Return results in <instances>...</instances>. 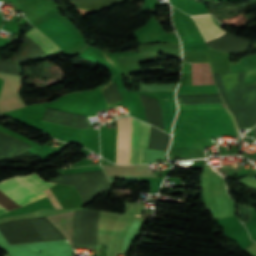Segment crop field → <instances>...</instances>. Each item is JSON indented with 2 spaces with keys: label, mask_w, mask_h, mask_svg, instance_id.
Masks as SVG:
<instances>
[{
  "label": "crop field",
  "mask_w": 256,
  "mask_h": 256,
  "mask_svg": "<svg viewBox=\"0 0 256 256\" xmlns=\"http://www.w3.org/2000/svg\"><path fill=\"white\" fill-rule=\"evenodd\" d=\"M48 218L55 227L64 234L65 238H67L69 243L72 245L69 212L48 216Z\"/></svg>",
  "instance_id": "obj_5"
},
{
  "label": "crop field",
  "mask_w": 256,
  "mask_h": 256,
  "mask_svg": "<svg viewBox=\"0 0 256 256\" xmlns=\"http://www.w3.org/2000/svg\"><path fill=\"white\" fill-rule=\"evenodd\" d=\"M191 17L196 23L205 42L214 40L226 32L214 24L210 14Z\"/></svg>",
  "instance_id": "obj_3"
},
{
  "label": "crop field",
  "mask_w": 256,
  "mask_h": 256,
  "mask_svg": "<svg viewBox=\"0 0 256 256\" xmlns=\"http://www.w3.org/2000/svg\"><path fill=\"white\" fill-rule=\"evenodd\" d=\"M77 8H84L87 10H96L121 0H72Z\"/></svg>",
  "instance_id": "obj_7"
},
{
  "label": "crop field",
  "mask_w": 256,
  "mask_h": 256,
  "mask_svg": "<svg viewBox=\"0 0 256 256\" xmlns=\"http://www.w3.org/2000/svg\"><path fill=\"white\" fill-rule=\"evenodd\" d=\"M256 124V117H255V123H254V125Z\"/></svg>",
  "instance_id": "obj_9"
},
{
  "label": "crop field",
  "mask_w": 256,
  "mask_h": 256,
  "mask_svg": "<svg viewBox=\"0 0 256 256\" xmlns=\"http://www.w3.org/2000/svg\"><path fill=\"white\" fill-rule=\"evenodd\" d=\"M117 150L116 163L128 164L129 151V117L117 119ZM130 151L129 164L142 163L143 148H147L151 126L130 117Z\"/></svg>",
  "instance_id": "obj_1"
},
{
  "label": "crop field",
  "mask_w": 256,
  "mask_h": 256,
  "mask_svg": "<svg viewBox=\"0 0 256 256\" xmlns=\"http://www.w3.org/2000/svg\"><path fill=\"white\" fill-rule=\"evenodd\" d=\"M35 174L26 177H13L0 183V213L45 196L44 189L53 185Z\"/></svg>",
  "instance_id": "obj_2"
},
{
  "label": "crop field",
  "mask_w": 256,
  "mask_h": 256,
  "mask_svg": "<svg viewBox=\"0 0 256 256\" xmlns=\"http://www.w3.org/2000/svg\"><path fill=\"white\" fill-rule=\"evenodd\" d=\"M224 149H225V147H224Z\"/></svg>",
  "instance_id": "obj_10"
},
{
  "label": "crop field",
  "mask_w": 256,
  "mask_h": 256,
  "mask_svg": "<svg viewBox=\"0 0 256 256\" xmlns=\"http://www.w3.org/2000/svg\"><path fill=\"white\" fill-rule=\"evenodd\" d=\"M192 84H214L208 63H191Z\"/></svg>",
  "instance_id": "obj_4"
},
{
  "label": "crop field",
  "mask_w": 256,
  "mask_h": 256,
  "mask_svg": "<svg viewBox=\"0 0 256 256\" xmlns=\"http://www.w3.org/2000/svg\"><path fill=\"white\" fill-rule=\"evenodd\" d=\"M35 44L46 53L59 50V48L34 27L26 34Z\"/></svg>",
  "instance_id": "obj_6"
},
{
  "label": "crop field",
  "mask_w": 256,
  "mask_h": 256,
  "mask_svg": "<svg viewBox=\"0 0 256 256\" xmlns=\"http://www.w3.org/2000/svg\"><path fill=\"white\" fill-rule=\"evenodd\" d=\"M45 22L50 25L56 32H58L64 39L69 43L73 44L79 41L65 26L59 23L53 17L45 20Z\"/></svg>",
  "instance_id": "obj_8"
}]
</instances>
